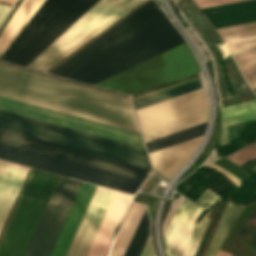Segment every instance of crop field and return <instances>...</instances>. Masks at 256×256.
<instances>
[{
    "mask_svg": "<svg viewBox=\"0 0 256 256\" xmlns=\"http://www.w3.org/2000/svg\"><path fill=\"white\" fill-rule=\"evenodd\" d=\"M141 256H154L152 250H151V245H150V239H148Z\"/></svg>",
    "mask_w": 256,
    "mask_h": 256,
    "instance_id": "1d83c4d3",
    "label": "crop field"
},
{
    "mask_svg": "<svg viewBox=\"0 0 256 256\" xmlns=\"http://www.w3.org/2000/svg\"><path fill=\"white\" fill-rule=\"evenodd\" d=\"M149 235V218L144 213L124 256H139Z\"/></svg>",
    "mask_w": 256,
    "mask_h": 256,
    "instance_id": "730fd06b",
    "label": "crop field"
},
{
    "mask_svg": "<svg viewBox=\"0 0 256 256\" xmlns=\"http://www.w3.org/2000/svg\"><path fill=\"white\" fill-rule=\"evenodd\" d=\"M256 92V88L253 89Z\"/></svg>",
    "mask_w": 256,
    "mask_h": 256,
    "instance_id": "5866460e",
    "label": "crop field"
},
{
    "mask_svg": "<svg viewBox=\"0 0 256 256\" xmlns=\"http://www.w3.org/2000/svg\"><path fill=\"white\" fill-rule=\"evenodd\" d=\"M202 136L150 153L153 167L169 180L194 153Z\"/></svg>",
    "mask_w": 256,
    "mask_h": 256,
    "instance_id": "733c2abd",
    "label": "crop field"
},
{
    "mask_svg": "<svg viewBox=\"0 0 256 256\" xmlns=\"http://www.w3.org/2000/svg\"><path fill=\"white\" fill-rule=\"evenodd\" d=\"M198 78H200L199 75H198V76H195V77H192V78H189V79H186V80H183V81H180V82H177V83H174V84H171V85H168V86H165V87H163V88H160V89H157V90H154V91H151V92H148V93H145V94H142V95L133 97L132 100L134 101V100H137V99H140V98L149 96V95H151V94H154V93H157V92H160V91H163V90H166V89H169V88H172V87L181 85V84H183V83H186V82H189V81L198 79Z\"/></svg>",
    "mask_w": 256,
    "mask_h": 256,
    "instance_id": "750c4746",
    "label": "crop field"
},
{
    "mask_svg": "<svg viewBox=\"0 0 256 256\" xmlns=\"http://www.w3.org/2000/svg\"><path fill=\"white\" fill-rule=\"evenodd\" d=\"M218 197L207 189L195 203L185 198L175 215L173 214L174 217L163 238L167 256L194 255L209 221L207 215L222 198L220 197L200 223L195 224L193 222L201 210L203 208L208 209Z\"/></svg>",
    "mask_w": 256,
    "mask_h": 256,
    "instance_id": "5a996713",
    "label": "crop field"
},
{
    "mask_svg": "<svg viewBox=\"0 0 256 256\" xmlns=\"http://www.w3.org/2000/svg\"><path fill=\"white\" fill-rule=\"evenodd\" d=\"M215 28L256 20V0L202 8Z\"/></svg>",
    "mask_w": 256,
    "mask_h": 256,
    "instance_id": "4a817a6b",
    "label": "crop field"
},
{
    "mask_svg": "<svg viewBox=\"0 0 256 256\" xmlns=\"http://www.w3.org/2000/svg\"><path fill=\"white\" fill-rule=\"evenodd\" d=\"M96 1L46 0L0 60L25 66Z\"/></svg>",
    "mask_w": 256,
    "mask_h": 256,
    "instance_id": "412701ff",
    "label": "crop field"
},
{
    "mask_svg": "<svg viewBox=\"0 0 256 256\" xmlns=\"http://www.w3.org/2000/svg\"><path fill=\"white\" fill-rule=\"evenodd\" d=\"M95 187L82 183L50 256H65Z\"/></svg>",
    "mask_w": 256,
    "mask_h": 256,
    "instance_id": "d9b57169",
    "label": "crop field"
},
{
    "mask_svg": "<svg viewBox=\"0 0 256 256\" xmlns=\"http://www.w3.org/2000/svg\"><path fill=\"white\" fill-rule=\"evenodd\" d=\"M18 1L19 0H0V2H4L14 6H16ZM13 9H14L13 6L9 7V6L0 4V28L2 27V25L4 24V22L6 21V19L8 18V16L10 15Z\"/></svg>",
    "mask_w": 256,
    "mask_h": 256,
    "instance_id": "d3111659",
    "label": "crop field"
},
{
    "mask_svg": "<svg viewBox=\"0 0 256 256\" xmlns=\"http://www.w3.org/2000/svg\"><path fill=\"white\" fill-rule=\"evenodd\" d=\"M208 119V110L178 119L176 121L143 131L144 141H149L151 139L161 137L203 122Z\"/></svg>",
    "mask_w": 256,
    "mask_h": 256,
    "instance_id": "214f88e0",
    "label": "crop field"
},
{
    "mask_svg": "<svg viewBox=\"0 0 256 256\" xmlns=\"http://www.w3.org/2000/svg\"><path fill=\"white\" fill-rule=\"evenodd\" d=\"M60 176L32 170L0 241V256H23Z\"/></svg>",
    "mask_w": 256,
    "mask_h": 256,
    "instance_id": "e52e79f7",
    "label": "crop field"
},
{
    "mask_svg": "<svg viewBox=\"0 0 256 256\" xmlns=\"http://www.w3.org/2000/svg\"><path fill=\"white\" fill-rule=\"evenodd\" d=\"M0 159L131 194L143 182L3 143H0Z\"/></svg>",
    "mask_w": 256,
    "mask_h": 256,
    "instance_id": "d8731c3e",
    "label": "crop field"
},
{
    "mask_svg": "<svg viewBox=\"0 0 256 256\" xmlns=\"http://www.w3.org/2000/svg\"><path fill=\"white\" fill-rule=\"evenodd\" d=\"M206 123L185 129L183 131L162 137L160 139L158 138V139L146 142L145 144H146L147 150L150 153V152L162 149L164 147L202 135L204 133Z\"/></svg>",
    "mask_w": 256,
    "mask_h": 256,
    "instance_id": "00972430",
    "label": "crop field"
},
{
    "mask_svg": "<svg viewBox=\"0 0 256 256\" xmlns=\"http://www.w3.org/2000/svg\"><path fill=\"white\" fill-rule=\"evenodd\" d=\"M200 88H201L200 80H196V81L169 89L167 91L134 101L133 103H134L135 109L137 110V109H140V108H143V107H146V106L200 89Z\"/></svg>",
    "mask_w": 256,
    "mask_h": 256,
    "instance_id": "a9b5d70f",
    "label": "crop field"
},
{
    "mask_svg": "<svg viewBox=\"0 0 256 256\" xmlns=\"http://www.w3.org/2000/svg\"><path fill=\"white\" fill-rule=\"evenodd\" d=\"M81 183L60 177L24 256H49Z\"/></svg>",
    "mask_w": 256,
    "mask_h": 256,
    "instance_id": "3316defc",
    "label": "crop field"
},
{
    "mask_svg": "<svg viewBox=\"0 0 256 256\" xmlns=\"http://www.w3.org/2000/svg\"><path fill=\"white\" fill-rule=\"evenodd\" d=\"M0 96L138 131L128 97L3 64Z\"/></svg>",
    "mask_w": 256,
    "mask_h": 256,
    "instance_id": "34b2d1b8",
    "label": "crop field"
},
{
    "mask_svg": "<svg viewBox=\"0 0 256 256\" xmlns=\"http://www.w3.org/2000/svg\"><path fill=\"white\" fill-rule=\"evenodd\" d=\"M199 72L185 42L94 86L133 95Z\"/></svg>",
    "mask_w": 256,
    "mask_h": 256,
    "instance_id": "dd49c442",
    "label": "crop field"
},
{
    "mask_svg": "<svg viewBox=\"0 0 256 256\" xmlns=\"http://www.w3.org/2000/svg\"><path fill=\"white\" fill-rule=\"evenodd\" d=\"M244 206L228 203L205 256H214Z\"/></svg>",
    "mask_w": 256,
    "mask_h": 256,
    "instance_id": "92a150f3",
    "label": "crop field"
},
{
    "mask_svg": "<svg viewBox=\"0 0 256 256\" xmlns=\"http://www.w3.org/2000/svg\"><path fill=\"white\" fill-rule=\"evenodd\" d=\"M224 41L256 37V21L216 29Z\"/></svg>",
    "mask_w": 256,
    "mask_h": 256,
    "instance_id": "4177f3b9",
    "label": "crop field"
},
{
    "mask_svg": "<svg viewBox=\"0 0 256 256\" xmlns=\"http://www.w3.org/2000/svg\"><path fill=\"white\" fill-rule=\"evenodd\" d=\"M132 197L133 195L130 194L115 192L87 256L106 255L113 238L114 229L120 223Z\"/></svg>",
    "mask_w": 256,
    "mask_h": 256,
    "instance_id": "cbeb9de0",
    "label": "crop field"
},
{
    "mask_svg": "<svg viewBox=\"0 0 256 256\" xmlns=\"http://www.w3.org/2000/svg\"><path fill=\"white\" fill-rule=\"evenodd\" d=\"M0 109L143 146L138 132L0 97ZM144 147V146H143Z\"/></svg>",
    "mask_w": 256,
    "mask_h": 256,
    "instance_id": "28ad6ade",
    "label": "crop field"
},
{
    "mask_svg": "<svg viewBox=\"0 0 256 256\" xmlns=\"http://www.w3.org/2000/svg\"><path fill=\"white\" fill-rule=\"evenodd\" d=\"M233 56L251 88L256 87V51Z\"/></svg>",
    "mask_w": 256,
    "mask_h": 256,
    "instance_id": "eef30255",
    "label": "crop field"
},
{
    "mask_svg": "<svg viewBox=\"0 0 256 256\" xmlns=\"http://www.w3.org/2000/svg\"><path fill=\"white\" fill-rule=\"evenodd\" d=\"M114 192L96 187L66 256H86Z\"/></svg>",
    "mask_w": 256,
    "mask_h": 256,
    "instance_id": "22f410ed",
    "label": "crop field"
},
{
    "mask_svg": "<svg viewBox=\"0 0 256 256\" xmlns=\"http://www.w3.org/2000/svg\"><path fill=\"white\" fill-rule=\"evenodd\" d=\"M144 209L138 204L131 205L112 249L121 252L120 256H123Z\"/></svg>",
    "mask_w": 256,
    "mask_h": 256,
    "instance_id": "dafd665d",
    "label": "crop field"
},
{
    "mask_svg": "<svg viewBox=\"0 0 256 256\" xmlns=\"http://www.w3.org/2000/svg\"><path fill=\"white\" fill-rule=\"evenodd\" d=\"M30 168L0 161V232Z\"/></svg>",
    "mask_w": 256,
    "mask_h": 256,
    "instance_id": "5142ce71",
    "label": "crop field"
},
{
    "mask_svg": "<svg viewBox=\"0 0 256 256\" xmlns=\"http://www.w3.org/2000/svg\"><path fill=\"white\" fill-rule=\"evenodd\" d=\"M158 11L160 10L154 1H148L52 70L50 74L67 76ZM182 42H184L182 36L160 11L72 72L67 78L94 85Z\"/></svg>",
    "mask_w": 256,
    "mask_h": 256,
    "instance_id": "8a807250",
    "label": "crop field"
},
{
    "mask_svg": "<svg viewBox=\"0 0 256 256\" xmlns=\"http://www.w3.org/2000/svg\"><path fill=\"white\" fill-rule=\"evenodd\" d=\"M254 216L256 217V214L253 212L252 215L249 217V219L246 221V223H245V225L243 226V228L241 229V231H240V233H239V235H238L236 241L234 242V244H233V246H232V248H231V250H230V253L232 252V250H233L234 247L236 246V244H237V242L239 241V239H240V237H241V235H242L243 232H244V233L248 236V238L256 245V242L244 231V230L247 228V226L249 225V223L251 222V220L253 219Z\"/></svg>",
    "mask_w": 256,
    "mask_h": 256,
    "instance_id": "bd1437ed",
    "label": "crop field"
},
{
    "mask_svg": "<svg viewBox=\"0 0 256 256\" xmlns=\"http://www.w3.org/2000/svg\"><path fill=\"white\" fill-rule=\"evenodd\" d=\"M0 128L33 138L149 168L143 147L0 110ZM0 129V142L143 180L147 169Z\"/></svg>",
    "mask_w": 256,
    "mask_h": 256,
    "instance_id": "ac0d7876",
    "label": "crop field"
},
{
    "mask_svg": "<svg viewBox=\"0 0 256 256\" xmlns=\"http://www.w3.org/2000/svg\"><path fill=\"white\" fill-rule=\"evenodd\" d=\"M120 253L112 251L110 256H119Z\"/></svg>",
    "mask_w": 256,
    "mask_h": 256,
    "instance_id": "d32e631a",
    "label": "crop field"
},
{
    "mask_svg": "<svg viewBox=\"0 0 256 256\" xmlns=\"http://www.w3.org/2000/svg\"><path fill=\"white\" fill-rule=\"evenodd\" d=\"M144 1H97L26 67L48 71Z\"/></svg>",
    "mask_w": 256,
    "mask_h": 256,
    "instance_id": "f4fd0767",
    "label": "crop field"
},
{
    "mask_svg": "<svg viewBox=\"0 0 256 256\" xmlns=\"http://www.w3.org/2000/svg\"><path fill=\"white\" fill-rule=\"evenodd\" d=\"M231 254L230 253H227V252H223L221 250H218L216 256H230Z\"/></svg>",
    "mask_w": 256,
    "mask_h": 256,
    "instance_id": "120bbe31",
    "label": "crop field"
},
{
    "mask_svg": "<svg viewBox=\"0 0 256 256\" xmlns=\"http://www.w3.org/2000/svg\"><path fill=\"white\" fill-rule=\"evenodd\" d=\"M23 0L20 1L16 9L14 10L13 14L7 21L6 25L16 12L17 8L21 4ZM44 0H24L20 7L18 8L17 12L9 22V24L4 26L2 31L0 32V55L3 51L8 47V45L12 42V40L16 37V35L21 31V29L25 26V24L29 21L32 15L36 12L39 6L43 3ZM1 57V56H0Z\"/></svg>",
    "mask_w": 256,
    "mask_h": 256,
    "instance_id": "bc2a9ffb",
    "label": "crop field"
},
{
    "mask_svg": "<svg viewBox=\"0 0 256 256\" xmlns=\"http://www.w3.org/2000/svg\"><path fill=\"white\" fill-rule=\"evenodd\" d=\"M209 108L201 89L137 110L141 130Z\"/></svg>",
    "mask_w": 256,
    "mask_h": 256,
    "instance_id": "d1516ede",
    "label": "crop field"
},
{
    "mask_svg": "<svg viewBox=\"0 0 256 256\" xmlns=\"http://www.w3.org/2000/svg\"><path fill=\"white\" fill-rule=\"evenodd\" d=\"M232 54L256 50V39L227 44Z\"/></svg>",
    "mask_w": 256,
    "mask_h": 256,
    "instance_id": "ae1a2a85",
    "label": "crop field"
}]
</instances>
